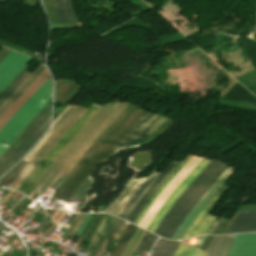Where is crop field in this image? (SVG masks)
<instances>
[{
	"label": "crop field",
	"mask_w": 256,
	"mask_h": 256,
	"mask_svg": "<svg viewBox=\"0 0 256 256\" xmlns=\"http://www.w3.org/2000/svg\"><path fill=\"white\" fill-rule=\"evenodd\" d=\"M134 105L130 104L96 141V143L84 154L73 171L71 170L72 172L66 180L64 179L65 181L55 191L53 196L69 201L72 194L99 163L103 156L145 111Z\"/></svg>",
	"instance_id": "8a807250"
},
{
	"label": "crop field",
	"mask_w": 256,
	"mask_h": 256,
	"mask_svg": "<svg viewBox=\"0 0 256 256\" xmlns=\"http://www.w3.org/2000/svg\"><path fill=\"white\" fill-rule=\"evenodd\" d=\"M229 165L222 161H213L198 176V178L181 194L154 234L171 239L182 219L208 189V187L222 174Z\"/></svg>",
	"instance_id": "ac0d7876"
},
{
	"label": "crop field",
	"mask_w": 256,
	"mask_h": 256,
	"mask_svg": "<svg viewBox=\"0 0 256 256\" xmlns=\"http://www.w3.org/2000/svg\"><path fill=\"white\" fill-rule=\"evenodd\" d=\"M51 101V82L48 78L45 83L35 92L27 103L7 122L0 131V142L5 141V145L15 139L21 130L30 120Z\"/></svg>",
	"instance_id": "34b2d1b8"
},
{
	"label": "crop field",
	"mask_w": 256,
	"mask_h": 256,
	"mask_svg": "<svg viewBox=\"0 0 256 256\" xmlns=\"http://www.w3.org/2000/svg\"><path fill=\"white\" fill-rule=\"evenodd\" d=\"M99 110L94 106H90L82 116L69 128V130L58 140L53 148L46 154V156L39 162L33 172L20 185L17 191L29 195L35 188L34 183L56 158V156L64 149L70 142L74 135L89 121V119Z\"/></svg>",
	"instance_id": "412701ff"
},
{
	"label": "crop field",
	"mask_w": 256,
	"mask_h": 256,
	"mask_svg": "<svg viewBox=\"0 0 256 256\" xmlns=\"http://www.w3.org/2000/svg\"><path fill=\"white\" fill-rule=\"evenodd\" d=\"M166 119L167 118L161 115H154L148 111L144 112L103 159L127 146H141Z\"/></svg>",
	"instance_id": "f4fd0767"
},
{
	"label": "crop field",
	"mask_w": 256,
	"mask_h": 256,
	"mask_svg": "<svg viewBox=\"0 0 256 256\" xmlns=\"http://www.w3.org/2000/svg\"><path fill=\"white\" fill-rule=\"evenodd\" d=\"M159 175L160 173L153 170L146 178L132 179L108 213L126 219L136 203Z\"/></svg>",
	"instance_id": "dd49c442"
},
{
	"label": "crop field",
	"mask_w": 256,
	"mask_h": 256,
	"mask_svg": "<svg viewBox=\"0 0 256 256\" xmlns=\"http://www.w3.org/2000/svg\"><path fill=\"white\" fill-rule=\"evenodd\" d=\"M235 169L229 167L219 179L204 193V195L198 200V202L193 206L184 220L181 222L177 231L173 235L172 239H181L185 230L193 222L195 217L198 215L200 210L207 204V202L215 195L218 189L224 184L225 180L233 175Z\"/></svg>",
	"instance_id": "e52e79f7"
},
{
	"label": "crop field",
	"mask_w": 256,
	"mask_h": 256,
	"mask_svg": "<svg viewBox=\"0 0 256 256\" xmlns=\"http://www.w3.org/2000/svg\"><path fill=\"white\" fill-rule=\"evenodd\" d=\"M211 162L209 159L203 158L200 163L192 170V172L184 179V181L177 187V189L169 196L165 204L158 210L156 215L151 220L147 230L154 232L168 210L180 196V194L194 181V179L204 170V168Z\"/></svg>",
	"instance_id": "d8731c3e"
},
{
	"label": "crop field",
	"mask_w": 256,
	"mask_h": 256,
	"mask_svg": "<svg viewBox=\"0 0 256 256\" xmlns=\"http://www.w3.org/2000/svg\"><path fill=\"white\" fill-rule=\"evenodd\" d=\"M31 58L10 50L0 61V91L22 70Z\"/></svg>",
	"instance_id": "5a996713"
},
{
	"label": "crop field",
	"mask_w": 256,
	"mask_h": 256,
	"mask_svg": "<svg viewBox=\"0 0 256 256\" xmlns=\"http://www.w3.org/2000/svg\"><path fill=\"white\" fill-rule=\"evenodd\" d=\"M228 190V188L222 186L216 195L208 202V204L201 210L197 218L194 220L188 231L183 238L206 234L210 226L216 220L217 216L209 214L210 211L219 202L221 196ZM182 238V239H183Z\"/></svg>",
	"instance_id": "3316defc"
},
{
	"label": "crop field",
	"mask_w": 256,
	"mask_h": 256,
	"mask_svg": "<svg viewBox=\"0 0 256 256\" xmlns=\"http://www.w3.org/2000/svg\"><path fill=\"white\" fill-rule=\"evenodd\" d=\"M50 114L49 106L44 107L39 114L22 130V132L17 136L11 146L0 158V170L10 159L13 153L18 149V147L23 143V141L29 136V134L35 129V127L48 115Z\"/></svg>",
	"instance_id": "28ad6ade"
},
{
	"label": "crop field",
	"mask_w": 256,
	"mask_h": 256,
	"mask_svg": "<svg viewBox=\"0 0 256 256\" xmlns=\"http://www.w3.org/2000/svg\"><path fill=\"white\" fill-rule=\"evenodd\" d=\"M229 256H256V234L235 235Z\"/></svg>",
	"instance_id": "d1516ede"
},
{
	"label": "crop field",
	"mask_w": 256,
	"mask_h": 256,
	"mask_svg": "<svg viewBox=\"0 0 256 256\" xmlns=\"http://www.w3.org/2000/svg\"><path fill=\"white\" fill-rule=\"evenodd\" d=\"M49 116L42 121L36 129L31 133V135L25 140V142L19 147V149L14 153L11 159L7 162V164L3 167L0 171V175L7 170L10 166H12L43 134L45 131L48 123H49Z\"/></svg>",
	"instance_id": "22f410ed"
},
{
	"label": "crop field",
	"mask_w": 256,
	"mask_h": 256,
	"mask_svg": "<svg viewBox=\"0 0 256 256\" xmlns=\"http://www.w3.org/2000/svg\"><path fill=\"white\" fill-rule=\"evenodd\" d=\"M256 231V210L241 211L232 223L227 234Z\"/></svg>",
	"instance_id": "cbeb9de0"
},
{
	"label": "crop field",
	"mask_w": 256,
	"mask_h": 256,
	"mask_svg": "<svg viewBox=\"0 0 256 256\" xmlns=\"http://www.w3.org/2000/svg\"><path fill=\"white\" fill-rule=\"evenodd\" d=\"M46 68L39 64L36 69L28 76V78L19 86V88L1 105L0 117L8 110V108L26 91V89L34 82V80Z\"/></svg>",
	"instance_id": "5142ce71"
},
{
	"label": "crop field",
	"mask_w": 256,
	"mask_h": 256,
	"mask_svg": "<svg viewBox=\"0 0 256 256\" xmlns=\"http://www.w3.org/2000/svg\"><path fill=\"white\" fill-rule=\"evenodd\" d=\"M234 239L231 236H214L205 252L213 256H227Z\"/></svg>",
	"instance_id": "d9b57169"
},
{
	"label": "crop field",
	"mask_w": 256,
	"mask_h": 256,
	"mask_svg": "<svg viewBox=\"0 0 256 256\" xmlns=\"http://www.w3.org/2000/svg\"><path fill=\"white\" fill-rule=\"evenodd\" d=\"M63 3V6H62ZM53 5L55 8L56 15L58 17L59 23L62 22H76L75 18L70 10L69 0H53Z\"/></svg>",
	"instance_id": "733c2abd"
},
{
	"label": "crop field",
	"mask_w": 256,
	"mask_h": 256,
	"mask_svg": "<svg viewBox=\"0 0 256 256\" xmlns=\"http://www.w3.org/2000/svg\"><path fill=\"white\" fill-rule=\"evenodd\" d=\"M28 65L17 75V77L0 93V104L11 94L13 93L18 86L26 79L30 74L27 72Z\"/></svg>",
	"instance_id": "4a817a6b"
},
{
	"label": "crop field",
	"mask_w": 256,
	"mask_h": 256,
	"mask_svg": "<svg viewBox=\"0 0 256 256\" xmlns=\"http://www.w3.org/2000/svg\"><path fill=\"white\" fill-rule=\"evenodd\" d=\"M113 220H114V217L106 214V216H105L103 222L101 223L97 233L95 234L92 242L90 241L91 243L89 244L88 248L97 251L102 238L104 237L106 231L108 230V228Z\"/></svg>",
	"instance_id": "bc2a9ffb"
},
{
	"label": "crop field",
	"mask_w": 256,
	"mask_h": 256,
	"mask_svg": "<svg viewBox=\"0 0 256 256\" xmlns=\"http://www.w3.org/2000/svg\"><path fill=\"white\" fill-rule=\"evenodd\" d=\"M191 155H189L186 160L174 171V173L169 177V179L164 183V185L159 189V191L154 195V197L150 200L146 208L143 210L141 215L138 217V219L135 221V224L138 225L140 220L143 218L147 210L150 208L152 203L155 201V199L159 196V194L163 191V189L170 183V181L180 172V170L188 163V161L191 159Z\"/></svg>",
	"instance_id": "214f88e0"
},
{
	"label": "crop field",
	"mask_w": 256,
	"mask_h": 256,
	"mask_svg": "<svg viewBox=\"0 0 256 256\" xmlns=\"http://www.w3.org/2000/svg\"><path fill=\"white\" fill-rule=\"evenodd\" d=\"M178 242L160 239L153 256H172Z\"/></svg>",
	"instance_id": "92a150f3"
},
{
	"label": "crop field",
	"mask_w": 256,
	"mask_h": 256,
	"mask_svg": "<svg viewBox=\"0 0 256 256\" xmlns=\"http://www.w3.org/2000/svg\"><path fill=\"white\" fill-rule=\"evenodd\" d=\"M124 221L117 218L116 222L114 223L110 233L107 235V237L104 240V243L100 250L104 252H108L111 244L113 243L116 235L118 234L120 228L122 227Z\"/></svg>",
	"instance_id": "dafd665d"
},
{
	"label": "crop field",
	"mask_w": 256,
	"mask_h": 256,
	"mask_svg": "<svg viewBox=\"0 0 256 256\" xmlns=\"http://www.w3.org/2000/svg\"><path fill=\"white\" fill-rule=\"evenodd\" d=\"M176 161H172L168 167L165 169V171L159 176V178L153 183V185L150 187V189L146 192V194L141 198V200L138 202V204L135 206V208L132 210L130 215L127 217V220L130 221V219L133 217L137 209L140 207V205L143 203V201L146 199V197L149 195V193L155 188V186L162 180V178L168 173V171L174 166Z\"/></svg>",
	"instance_id": "00972430"
},
{
	"label": "crop field",
	"mask_w": 256,
	"mask_h": 256,
	"mask_svg": "<svg viewBox=\"0 0 256 256\" xmlns=\"http://www.w3.org/2000/svg\"><path fill=\"white\" fill-rule=\"evenodd\" d=\"M173 256H208L204 252L179 243Z\"/></svg>",
	"instance_id": "a9b5d70f"
},
{
	"label": "crop field",
	"mask_w": 256,
	"mask_h": 256,
	"mask_svg": "<svg viewBox=\"0 0 256 256\" xmlns=\"http://www.w3.org/2000/svg\"><path fill=\"white\" fill-rule=\"evenodd\" d=\"M180 163L177 162L175 166L169 171V173L163 178V180L156 186V188L151 192V194L148 196V198L144 201V203L141 205L137 213L134 215V217L131 219V222L134 223V221L137 219L139 214L142 212V210L145 208L149 200L152 198V196L157 192V190L162 186V184L167 180V178L172 174V172L178 167Z\"/></svg>",
	"instance_id": "4177f3b9"
},
{
	"label": "crop field",
	"mask_w": 256,
	"mask_h": 256,
	"mask_svg": "<svg viewBox=\"0 0 256 256\" xmlns=\"http://www.w3.org/2000/svg\"><path fill=\"white\" fill-rule=\"evenodd\" d=\"M28 161H20L13 169L9 171V173L3 177L0 182L11 184L12 181L16 178L19 172L25 167Z\"/></svg>",
	"instance_id": "730fd06b"
},
{
	"label": "crop field",
	"mask_w": 256,
	"mask_h": 256,
	"mask_svg": "<svg viewBox=\"0 0 256 256\" xmlns=\"http://www.w3.org/2000/svg\"><path fill=\"white\" fill-rule=\"evenodd\" d=\"M92 180L90 176L86 178V180L83 182V184L80 186L78 191L75 193L74 197L81 199L85 193L90 189Z\"/></svg>",
	"instance_id": "eef30255"
},
{
	"label": "crop field",
	"mask_w": 256,
	"mask_h": 256,
	"mask_svg": "<svg viewBox=\"0 0 256 256\" xmlns=\"http://www.w3.org/2000/svg\"><path fill=\"white\" fill-rule=\"evenodd\" d=\"M153 234L149 233L146 231L144 237L142 238L140 244L138 245L136 251L137 252H143L145 246L147 245V243L149 242L150 238L152 237Z\"/></svg>",
	"instance_id": "ae1a2a85"
},
{
	"label": "crop field",
	"mask_w": 256,
	"mask_h": 256,
	"mask_svg": "<svg viewBox=\"0 0 256 256\" xmlns=\"http://www.w3.org/2000/svg\"><path fill=\"white\" fill-rule=\"evenodd\" d=\"M131 227H132V224L129 223L128 227H127L126 230L124 231V233H123V235H122V237H121V240H120L118 246L116 247L115 251L113 252L112 256H115V255L118 253V251H119V249H120V247H121L123 241L125 240V238H126L128 232L130 231Z\"/></svg>",
	"instance_id": "d3111659"
},
{
	"label": "crop field",
	"mask_w": 256,
	"mask_h": 256,
	"mask_svg": "<svg viewBox=\"0 0 256 256\" xmlns=\"http://www.w3.org/2000/svg\"><path fill=\"white\" fill-rule=\"evenodd\" d=\"M135 229H136V226L133 225V227H132V229H131V231H130L128 237L126 238V240H125V242H124L122 248L120 249L119 253L117 254V256H120V255L122 254V252H123V250H124L126 244L128 243V241H129L130 237L132 236L133 232L135 231Z\"/></svg>",
	"instance_id": "750c4746"
},
{
	"label": "crop field",
	"mask_w": 256,
	"mask_h": 256,
	"mask_svg": "<svg viewBox=\"0 0 256 256\" xmlns=\"http://www.w3.org/2000/svg\"><path fill=\"white\" fill-rule=\"evenodd\" d=\"M101 216H102V214H99V215L97 216V218H96V220H95V222H94V224H93L91 230L89 231V233H88V234L86 235V237H85L86 240H88L89 236L91 235V233H92L94 227L96 226V224H97V222L99 221V219L101 218Z\"/></svg>",
	"instance_id": "bd1437ed"
},
{
	"label": "crop field",
	"mask_w": 256,
	"mask_h": 256,
	"mask_svg": "<svg viewBox=\"0 0 256 256\" xmlns=\"http://www.w3.org/2000/svg\"><path fill=\"white\" fill-rule=\"evenodd\" d=\"M90 216H91V214H88L87 217L85 218L84 222L82 223L81 227L79 228V230L76 233L77 236L80 235L82 229L84 228V226H85V224H86V222H87V220L89 219Z\"/></svg>",
	"instance_id": "1d83c4d3"
},
{
	"label": "crop field",
	"mask_w": 256,
	"mask_h": 256,
	"mask_svg": "<svg viewBox=\"0 0 256 256\" xmlns=\"http://www.w3.org/2000/svg\"><path fill=\"white\" fill-rule=\"evenodd\" d=\"M7 148V146L0 144V156L5 152Z\"/></svg>",
	"instance_id": "120bbe31"
},
{
	"label": "crop field",
	"mask_w": 256,
	"mask_h": 256,
	"mask_svg": "<svg viewBox=\"0 0 256 256\" xmlns=\"http://www.w3.org/2000/svg\"><path fill=\"white\" fill-rule=\"evenodd\" d=\"M9 51V49L5 48L4 51L0 55V60L5 56V54Z\"/></svg>",
	"instance_id": "d32e631a"
},
{
	"label": "crop field",
	"mask_w": 256,
	"mask_h": 256,
	"mask_svg": "<svg viewBox=\"0 0 256 256\" xmlns=\"http://www.w3.org/2000/svg\"><path fill=\"white\" fill-rule=\"evenodd\" d=\"M75 215H76V214H72V216H71L70 219L68 220L67 224L70 225V223L73 221Z\"/></svg>",
	"instance_id": "5866460e"
},
{
	"label": "crop field",
	"mask_w": 256,
	"mask_h": 256,
	"mask_svg": "<svg viewBox=\"0 0 256 256\" xmlns=\"http://www.w3.org/2000/svg\"><path fill=\"white\" fill-rule=\"evenodd\" d=\"M4 256H11V255L7 253V254H5Z\"/></svg>",
	"instance_id": "028f5c9d"
},
{
	"label": "crop field",
	"mask_w": 256,
	"mask_h": 256,
	"mask_svg": "<svg viewBox=\"0 0 256 256\" xmlns=\"http://www.w3.org/2000/svg\"><path fill=\"white\" fill-rule=\"evenodd\" d=\"M3 1V0H0V2Z\"/></svg>",
	"instance_id": "e1f06a70"
},
{
	"label": "crop field",
	"mask_w": 256,
	"mask_h": 256,
	"mask_svg": "<svg viewBox=\"0 0 256 256\" xmlns=\"http://www.w3.org/2000/svg\"><path fill=\"white\" fill-rule=\"evenodd\" d=\"M6 0H4L3 2H5Z\"/></svg>",
	"instance_id": "0bd39190"
}]
</instances>
